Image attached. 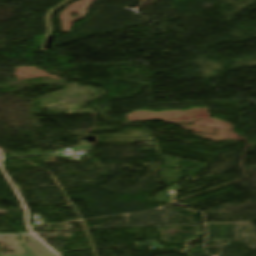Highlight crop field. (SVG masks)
Wrapping results in <instances>:
<instances>
[{
    "instance_id": "1",
    "label": "crop field",
    "mask_w": 256,
    "mask_h": 256,
    "mask_svg": "<svg viewBox=\"0 0 256 256\" xmlns=\"http://www.w3.org/2000/svg\"><path fill=\"white\" fill-rule=\"evenodd\" d=\"M24 247L31 256H56L39 241L25 243Z\"/></svg>"
}]
</instances>
